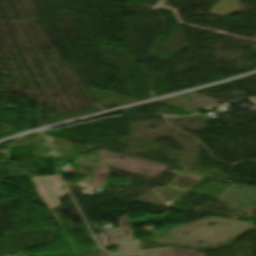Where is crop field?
Segmentation results:
<instances>
[{
	"label": "crop field",
	"instance_id": "obj_1",
	"mask_svg": "<svg viewBox=\"0 0 256 256\" xmlns=\"http://www.w3.org/2000/svg\"><path fill=\"white\" fill-rule=\"evenodd\" d=\"M96 238L102 249L134 240L130 228L102 231V234L96 235Z\"/></svg>",
	"mask_w": 256,
	"mask_h": 256
},
{
	"label": "crop field",
	"instance_id": "obj_2",
	"mask_svg": "<svg viewBox=\"0 0 256 256\" xmlns=\"http://www.w3.org/2000/svg\"><path fill=\"white\" fill-rule=\"evenodd\" d=\"M141 256H203L189 251H172L171 248L140 251Z\"/></svg>",
	"mask_w": 256,
	"mask_h": 256
},
{
	"label": "crop field",
	"instance_id": "obj_3",
	"mask_svg": "<svg viewBox=\"0 0 256 256\" xmlns=\"http://www.w3.org/2000/svg\"><path fill=\"white\" fill-rule=\"evenodd\" d=\"M42 179L45 182L46 186L48 187L56 204L58 205V207H60L61 204H60L58 198L56 197V195H62L68 191L59 189V187H61L62 184L59 182V180L56 178V176L42 177Z\"/></svg>",
	"mask_w": 256,
	"mask_h": 256
},
{
	"label": "crop field",
	"instance_id": "obj_4",
	"mask_svg": "<svg viewBox=\"0 0 256 256\" xmlns=\"http://www.w3.org/2000/svg\"><path fill=\"white\" fill-rule=\"evenodd\" d=\"M139 245H140V239L128 243H124L119 245L117 249V253L121 255H138L139 254Z\"/></svg>",
	"mask_w": 256,
	"mask_h": 256
},
{
	"label": "crop field",
	"instance_id": "obj_5",
	"mask_svg": "<svg viewBox=\"0 0 256 256\" xmlns=\"http://www.w3.org/2000/svg\"><path fill=\"white\" fill-rule=\"evenodd\" d=\"M32 179L34 180L35 184L37 185V187H38L37 191L40 194V196L42 197V199L44 200V202L46 203L49 210L56 209L48 191L44 187V185L41 182V180L39 179V177H32Z\"/></svg>",
	"mask_w": 256,
	"mask_h": 256
},
{
	"label": "crop field",
	"instance_id": "obj_6",
	"mask_svg": "<svg viewBox=\"0 0 256 256\" xmlns=\"http://www.w3.org/2000/svg\"><path fill=\"white\" fill-rule=\"evenodd\" d=\"M118 222L120 227L130 226L127 216L121 218L120 220H118Z\"/></svg>",
	"mask_w": 256,
	"mask_h": 256
},
{
	"label": "crop field",
	"instance_id": "obj_7",
	"mask_svg": "<svg viewBox=\"0 0 256 256\" xmlns=\"http://www.w3.org/2000/svg\"><path fill=\"white\" fill-rule=\"evenodd\" d=\"M98 256H111V255L108 254V253L99 252V255H98ZM113 256H116V255H113Z\"/></svg>",
	"mask_w": 256,
	"mask_h": 256
},
{
	"label": "crop field",
	"instance_id": "obj_8",
	"mask_svg": "<svg viewBox=\"0 0 256 256\" xmlns=\"http://www.w3.org/2000/svg\"><path fill=\"white\" fill-rule=\"evenodd\" d=\"M69 256H89V255H85V254H81V253H79V254H77V255H74V253H72V254H70Z\"/></svg>",
	"mask_w": 256,
	"mask_h": 256
},
{
	"label": "crop field",
	"instance_id": "obj_9",
	"mask_svg": "<svg viewBox=\"0 0 256 256\" xmlns=\"http://www.w3.org/2000/svg\"><path fill=\"white\" fill-rule=\"evenodd\" d=\"M68 254H62V255H49V256H67Z\"/></svg>",
	"mask_w": 256,
	"mask_h": 256
}]
</instances>
